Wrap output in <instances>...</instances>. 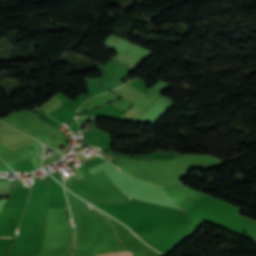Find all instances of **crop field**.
Wrapping results in <instances>:
<instances>
[{"label":"crop field","instance_id":"2","mask_svg":"<svg viewBox=\"0 0 256 256\" xmlns=\"http://www.w3.org/2000/svg\"><path fill=\"white\" fill-rule=\"evenodd\" d=\"M81 151H84L83 149H81L80 151H78V152H81Z\"/></svg>","mask_w":256,"mask_h":256},{"label":"crop field","instance_id":"1","mask_svg":"<svg viewBox=\"0 0 256 256\" xmlns=\"http://www.w3.org/2000/svg\"><path fill=\"white\" fill-rule=\"evenodd\" d=\"M95 256H132L130 252H120V253H109L103 255H95Z\"/></svg>","mask_w":256,"mask_h":256},{"label":"crop field","instance_id":"3","mask_svg":"<svg viewBox=\"0 0 256 256\" xmlns=\"http://www.w3.org/2000/svg\"><path fill=\"white\" fill-rule=\"evenodd\" d=\"M81 173V172H80ZM82 175V174H81ZM79 178H82V177H79ZM79 178H77V179H79Z\"/></svg>","mask_w":256,"mask_h":256}]
</instances>
